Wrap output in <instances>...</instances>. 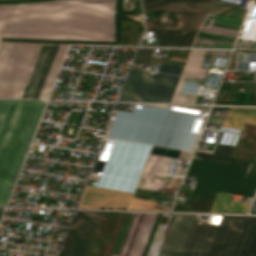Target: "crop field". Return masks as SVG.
<instances>
[{
  "label": "crop field",
  "mask_w": 256,
  "mask_h": 256,
  "mask_svg": "<svg viewBox=\"0 0 256 256\" xmlns=\"http://www.w3.org/2000/svg\"><path fill=\"white\" fill-rule=\"evenodd\" d=\"M214 18L233 21V22H239V23L242 22L240 20L228 19V18L217 17V16H215ZM216 19L213 20L211 27L200 25L197 32L232 37V38L236 37V33L240 26L239 23L227 22V21L216 20ZM200 33L196 34L195 39H194L195 42H201V43L231 48V46L235 40L232 38L206 35V34H200ZM195 42H193L192 45L201 46V47H218V46L206 45V44L195 43ZM192 47H194V46H192Z\"/></svg>",
  "instance_id": "5a996713"
},
{
  "label": "crop field",
  "mask_w": 256,
  "mask_h": 256,
  "mask_svg": "<svg viewBox=\"0 0 256 256\" xmlns=\"http://www.w3.org/2000/svg\"><path fill=\"white\" fill-rule=\"evenodd\" d=\"M115 0L0 5L2 38L114 42Z\"/></svg>",
  "instance_id": "8a807250"
},
{
  "label": "crop field",
  "mask_w": 256,
  "mask_h": 256,
  "mask_svg": "<svg viewBox=\"0 0 256 256\" xmlns=\"http://www.w3.org/2000/svg\"><path fill=\"white\" fill-rule=\"evenodd\" d=\"M233 148L234 147H231V146L217 144L213 154L197 152L195 157L228 163L231 153L233 151Z\"/></svg>",
  "instance_id": "cbeb9de0"
},
{
  "label": "crop field",
  "mask_w": 256,
  "mask_h": 256,
  "mask_svg": "<svg viewBox=\"0 0 256 256\" xmlns=\"http://www.w3.org/2000/svg\"><path fill=\"white\" fill-rule=\"evenodd\" d=\"M140 213H128L111 256H123ZM157 214L141 213L124 256H142Z\"/></svg>",
  "instance_id": "d8731c3e"
},
{
  "label": "crop field",
  "mask_w": 256,
  "mask_h": 256,
  "mask_svg": "<svg viewBox=\"0 0 256 256\" xmlns=\"http://www.w3.org/2000/svg\"><path fill=\"white\" fill-rule=\"evenodd\" d=\"M207 2L208 0H144L145 10L178 12L184 27L179 30L148 28L147 31L156 32L157 42H142V45L190 47Z\"/></svg>",
  "instance_id": "412701ff"
},
{
  "label": "crop field",
  "mask_w": 256,
  "mask_h": 256,
  "mask_svg": "<svg viewBox=\"0 0 256 256\" xmlns=\"http://www.w3.org/2000/svg\"><path fill=\"white\" fill-rule=\"evenodd\" d=\"M43 103L0 100V206L6 203Z\"/></svg>",
  "instance_id": "34b2d1b8"
},
{
  "label": "crop field",
  "mask_w": 256,
  "mask_h": 256,
  "mask_svg": "<svg viewBox=\"0 0 256 256\" xmlns=\"http://www.w3.org/2000/svg\"><path fill=\"white\" fill-rule=\"evenodd\" d=\"M195 216L174 214L159 256H180Z\"/></svg>",
  "instance_id": "3316defc"
},
{
  "label": "crop field",
  "mask_w": 256,
  "mask_h": 256,
  "mask_svg": "<svg viewBox=\"0 0 256 256\" xmlns=\"http://www.w3.org/2000/svg\"><path fill=\"white\" fill-rule=\"evenodd\" d=\"M137 58H144V57H137ZM136 62H146L148 63V59H137Z\"/></svg>",
  "instance_id": "733c2abd"
},
{
  "label": "crop field",
  "mask_w": 256,
  "mask_h": 256,
  "mask_svg": "<svg viewBox=\"0 0 256 256\" xmlns=\"http://www.w3.org/2000/svg\"><path fill=\"white\" fill-rule=\"evenodd\" d=\"M178 77L131 69L120 100L169 102ZM140 79L139 81H135Z\"/></svg>",
  "instance_id": "dd49c442"
},
{
  "label": "crop field",
  "mask_w": 256,
  "mask_h": 256,
  "mask_svg": "<svg viewBox=\"0 0 256 256\" xmlns=\"http://www.w3.org/2000/svg\"><path fill=\"white\" fill-rule=\"evenodd\" d=\"M7 44L0 45V62ZM28 45L8 44L0 65V97H10ZM66 47L30 44L10 98L46 99Z\"/></svg>",
  "instance_id": "ac0d7876"
},
{
  "label": "crop field",
  "mask_w": 256,
  "mask_h": 256,
  "mask_svg": "<svg viewBox=\"0 0 256 256\" xmlns=\"http://www.w3.org/2000/svg\"><path fill=\"white\" fill-rule=\"evenodd\" d=\"M183 65L162 64L158 71L171 74H180Z\"/></svg>",
  "instance_id": "5142ce71"
},
{
  "label": "crop field",
  "mask_w": 256,
  "mask_h": 256,
  "mask_svg": "<svg viewBox=\"0 0 256 256\" xmlns=\"http://www.w3.org/2000/svg\"><path fill=\"white\" fill-rule=\"evenodd\" d=\"M208 256H256V217L223 216Z\"/></svg>",
  "instance_id": "f4fd0767"
},
{
  "label": "crop field",
  "mask_w": 256,
  "mask_h": 256,
  "mask_svg": "<svg viewBox=\"0 0 256 256\" xmlns=\"http://www.w3.org/2000/svg\"><path fill=\"white\" fill-rule=\"evenodd\" d=\"M153 50H143L140 49L137 56H149V54H152Z\"/></svg>",
  "instance_id": "d9b57169"
},
{
  "label": "crop field",
  "mask_w": 256,
  "mask_h": 256,
  "mask_svg": "<svg viewBox=\"0 0 256 256\" xmlns=\"http://www.w3.org/2000/svg\"><path fill=\"white\" fill-rule=\"evenodd\" d=\"M217 229L211 224L192 228L181 256H207Z\"/></svg>",
  "instance_id": "28ad6ade"
},
{
  "label": "crop field",
  "mask_w": 256,
  "mask_h": 256,
  "mask_svg": "<svg viewBox=\"0 0 256 256\" xmlns=\"http://www.w3.org/2000/svg\"><path fill=\"white\" fill-rule=\"evenodd\" d=\"M104 213L77 211L59 256H88Z\"/></svg>",
  "instance_id": "e52e79f7"
},
{
  "label": "crop field",
  "mask_w": 256,
  "mask_h": 256,
  "mask_svg": "<svg viewBox=\"0 0 256 256\" xmlns=\"http://www.w3.org/2000/svg\"><path fill=\"white\" fill-rule=\"evenodd\" d=\"M232 196L218 192L210 212H243L246 213L247 204L230 202Z\"/></svg>",
  "instance_id": "d1516ede"
},
{
  "label": "crop field",
  "mask_w": 256,
  "mask_h": 256,
  "mask_svg": "<svg viewBox=\"0 0 256 256\" xmlns=\"http://www.w3.org/2000/svg\"><path fill=\"white\" fill-rule=\"evenodd\" d=\"M1 211H2V210H1V208H0V213H1Z\"/></svg>",
  "instance_id": "4a817a6b"
},
{
  "label": "crop field",
  "mask_w": 256,
  "mask_h": 256,
  "mask_svg": "<svg viewBox=\"0 0 256 256\" xmlns=\"http://www.w3.org/2000/svg\"><path fill=\"white\" fill-rule=\"evenodd\" d=\"M245 11L246 10L244 9H238V8L208 3L205 13L242 20L245 14Z\"/></svg>",
  "instance_id": "22f410ed"
}]
</instances>
